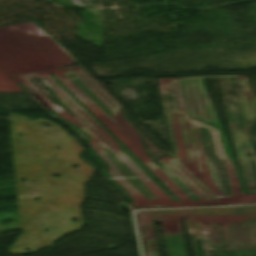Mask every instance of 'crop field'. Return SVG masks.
Returning <instances> with one entry per match:
<instances>
[{
	"mask_svg": "<svg viewBox=\"0 0 256 256\" xmlns=\"http://www.w3.org/2000/svg\"><path fill=\"white\" fill-rule=\"evenodd\" d=\"M145 246L154 240L151 220H186L196 256H256V206L209 207L136 213Z\"/></svg>",
	"mask_w": 256,
	"mask_h": 256,
	"instance_id": "1",
	"label": "crop field"
},
{
	"mask_svg": "<svg viewBox=\"0 0 256 256\" xmlns=\"http://www.w3.org/2000/svg\"><path fill=\"white\" fill-rule=\"evenodd\" d=\"M165 236L168 234H182L179 221L160 220Z\"/></svg>",
	"mask_w": 256,
	"mask_h": 256,
	"instance_id": "2",
	"label": "crop field"
}]
</instances>
